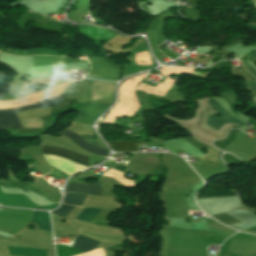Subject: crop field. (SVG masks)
I'll return each instance as SVG.
<instances>
[{
	"label": "crop field",
	"instance_id": "obj_12",
	"mask_svg": "<svg viewBox=\"0 0 256 256\" xmlns=\"http://www.w3.org/2000/svg\"><path fill=\"white\" fill-rule=\"evenodd\" d=\"M101 209L85 208L76 219H81L91 222L93 217L100 212Z\"/></svg>",
	"mask_w": 256,
	"mask_h": 256
},
{
	"label": "crop field",
	"instance_id": "obj_17",
	"mask_svg": "<svg viewBox=\"0 0 256 256\" xmlns=\"http://www.w3.org/2000/svg\"><path fill=\"white\" fill-rule=\"evenodd\" d=\"M251 88L256 92V83L250 85Z\"/></svg>",
	"mask_w": 256,
	"mask_h": 256
},
{
	"label": "crop field",
	"instance_id": "obj_7",
	"mask_svg": "<svg viewBox=\"0 0 256 256\" xmlns=\"http://www.w3.org/2000/svg\"><path fill=\"white\" fill-rule=\"evenodd\" d=\"M66 192H85L88 194H101V183H92L91 185L78 184V183H70L67 187Z\"/></svg>",
	"mask_w": 256,
	"mask_h": 256
},
{
	"label": "crop field",
	"instance_id": "obj_10",
	"mask_svg": "<svg viewBox=\"0 0 256 256\" xmlns=\"http://www.w3.org/2000/svg\"><path fill=\"white\" fill-rule=\"evenodd\" d=\"M137 143H145L143 141L134 142H110L115 151H137Z\"/></svg>",
	"mask_w": 256,
	"mask_h": 256
},
{
	"label": "crop field",
	"instance_id": "obj_2",
	"mask_svg": "<svg viewBox=\"0 0 256 256\" xmlns=\"http://www.w3.org/2000/svg\"><path fill=\"white\" fill-rule=\"evenodd\" d=\"M207 103L210 104L215 109H217V111L223 115L220 118H216L210 115L207 116L206 124L213 127L214 129L217 130L227 122L243 123L239 119H237L235 116H233L231 113H229L226 109H224L222 106H220L218 103H216L214 100H212L211 98Z\"/></svg>",
	"mask_w": 256,
	"mask_h": 256
},
{
	"label": "crop field",
	"instance_id": "obj_8",
	"mask_svg": "<svg viewBox=\"0 0 256 256\" xmlns=\"http://www.w3.org/2000/svg\"><path fill=\"white\" fill-rule=\"evenodd\" d=\"M11 255L16 256H46L47 250L7 247Z\"/></svg>",
	"mask_w": 256,
	"mask_h": 256
},
{
	"label": "crop field",
	"instance_id": "obj_3",
	"mask_svg": "<svg viewBox=\"0 0 256 256\" xmlns=\"http://www.w3.org/2000/svg\"><path fill=\"white\" fill-rule=\"evenodd\" d=\"M62 134L72 138L74 140V142L76 144L80 145L81 147H83L95 154L105 156L106 150H104L103 148L98 146L96 143H94L93 141H91L90 139H88L87 137L82 135L80 132H78L74 128L70 127Z\"/></svg>",
	"mask_w": 256,
	"mask_h": 256
},
{
	"label": "crop field",
	"instance_id": "obj_11",
	"mask_svg": "<svg viewBox=\"0 0 256 256\" xmlns=\"http://www.w3.org/2000/svg\"><path fill=\"white\" fill-rule=\"evenodd\" d=\"M85 197H86V195L67 193V195L65 197V200H64V203L81 206Z\"/></svg>",
	"mask_w": 256,
	"mask_h": 256
},
{
	"label": "crop field",
	"instance_id": "obj_15",
	"mask_svg": "<svg viewBox=\"0 0 256 256\" xmlns=\"http://www.w3.org/2000/svg\"><path fill=\"white\" fill-rule=\"evenodd\" d=\"M61 99H63V96H61V97H59V98H57V99H55V100H52V101H50V102H46V103L40 104V105L26 106V107L18 108V109H16V110L19 111V110H25V109H31V108L47 107V106H51L52 103H54V102H56V101H58V100H61Z\"/></svg>",
	"mask_w": 256,
	"mask_h": 256
},
{
	"label": "crop field",
	"instance_id": "obj_16",
	"mask_svg": "<svg viewBox=\"0 0 256 256\" xmlns=\"http://www.w3.org/2000/svg\"><path fill=\"white\" fill-rule=\"evenodd\" d=\"M245 68L256 78V71L250 65Z\"/></svg>",
	"mask_w": 256,
	"mask_h": 256
},
{
	"label": "crop field",
	"instance_id": "obj_4",
	"mask_svg": "<svg viewBox=\"0 0 256 256\" xmlns=\"http://www.w3.org/2000/svg\"><path fill=\"white\" fill-rule=\"evenodd\" d=\"M42 151L45 154L56 155L59 157L67 158V159L88 165V157L87 156L80 155V154L68 151L66 149L50 147V146H42ZM49 165H51V164H49Z\"/></svg>",
	"mask_w": 256,
	"mask_h": 256
},
{
	"label": "crop field",
	"instance_id": "obj_14",
	"mask_svg": "<svg viewBox=\"0 0 256 256\" xmlns=\"http://www.w3.org/2000/svg\"><path fill=\"white\" fill-rule=\"evenodd\" d=\"M74 208V206H69V205H62L58 210L53 211L52 213L60 215L62 217H66Z\"/></svg>",
	"mask_w": 256,
	"mask_h": 256
},
{
	"label": "crop field",
	"instance_id": "obj_13",
	"mask_svg": "<svg viewBox=\"0 0 256 256\" xmlns=\"http://www.w3.org/2000/svg\"><path fill=\"white\" fill-rule=\"evenodd\" d=\"M212 217L218 219L219 221H221L222 223L229 225V224H234V223H239L240 221L232 218L231 216L222 213V214H217V215H213Z\"/></svg>",
	"mask_w": 256,
	"mask_h": 256
},
{
	"label": "crop field",
	"instance_id": "obj_6",
	"mask_svg": "<svg viewBox=\"0 0 256 256\" xmlns=\"http://www.w3.org/2000/svg\"><path fill=\"white\" fill-rule=\"evenodd\" d=\"M0 128H23L14 109L0 111Z\"/></svg>",
	"mask_w": 256,
	"mask_h": 256
},
{
	"label": "crop field",
	"instance_id": "obj_5",
	"mask_svg": "<svg viewBox=\"0 0 256 256\" xmlns=\"http://www.w3.org/2000/svg\"><path fill=\"white\" fill-rule=\"evenodd\" d=\"M109 104H94L86 107L81 115L75 120L83 124L91 125L94 118L108 109Z\"/></svg>",
	"mask_w": 256,
	"mask_h": 256
},
{
	"label": "crop field",
	"instance_id": "obj_9",
	"mask_svg": "<svg viewBox=\"0 0 256 256\" xmlns=\"http://www.w3.org/2000/svg\"><path fill=\"white\" fill-rule=\"evenodd\" d=\"M98 244L99 242L97 241L78 235L75 238V244L73 247L84 251H89L93 250Z\"/></svg>",
	"mask_w": 256,
	"mask_h": 256
},
{
	"label": "crop field",
	"instance_id": "obj_1",
	"mask_svg": "<svg viewBox=\"0 0 256 256\" xmlns=\"http://www.w3.org/2000/svg\"><path fill=\"white\" fill-rule=\"evenodd\" d=\"M88 60L92 66V71L87 77L110 81L120 80L121 66L114 65L108 58L97 57Z\"/></svg>",
	"mask_w": 256,
	"mask_h": 256
}]
</instances>
